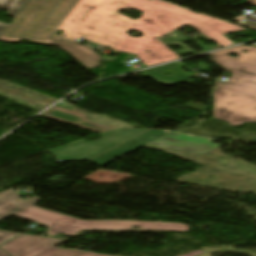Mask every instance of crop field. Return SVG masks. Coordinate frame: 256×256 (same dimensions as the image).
<instances>
[{"instance_id":"crop-field-12","label":"crop field","mask_w":256,"mask_h":256,"mask_svg":"<svg viewBox=\"0 0 256 256\" xmlns=\"http://www.w3.org/2000/svg\"><path fill=\"white\" fill-rule=\"evenodd\" d=\"M18 234L15 233H7V232H1L0 231V244L9 240L10 238L16 236Z\"/></svg>"},{"instance_id":"crop-field-11","label":"crop field","mask_w":256,"mask_h":256,"mask_svg":"<svg viewBox=\"0 0 256 256\" xmlns=\"http://www.w3.org/2000/svg\"><path fill=\"white\" fill-rule=\"evenodd\" d=\"M27 0H0V8L8 11L7 15L15 17ZM7 24L0 22V34L6 28Z\"/></svg>"},{"instance_id":"crop-field-13","label":"crop field","mask_w":256,"mask_h":256,"mask_svg":"<svg viewBox=\"0 0 256 256\" xmlns=\"http://www.w3.org/2000/svg\"><path fill=\"white\" fill-rule=\"evenodd\" d=\"M239 25L243 26V27H246V28H249V29L256 30V23L255 22L244 21V22H241Z\"/></svg>"},{"instance_id":"crop-field-3","label":"crop field","mask_w":256,"mask_h":256,"mask_svg":"<svg viewBox=\"0 0 256 256\" xmlns=\"http://www.w3.org/2000/svg\"><path fill=\"white\" fill-rule=\"evenodd\" d=\"M14 216L44 224L50 228L47 234L57 232L74 236L80 230H171L188 231V225L180 223L140 222V221H83L46 210L29 207ZM141 226V229H131Z\"/></svg>"},{"instance_id":"crop-field-10","label":"crop field","mask_w":256,"mask_h":256,"mask_svg":"<svg viewBox=\"0 0 256 256\" xmlns=\"http://www.w3.org/2000/svg\"><path fill=\"white\" fill-rule=\"evenodd\" d=\"M143 77L150 76L165 85L177 84L188 79L187 75L174 63L157 68L141 71Z\"/></svg>"},{"instance_id":"crop-field-2","label":"crop field","mask_w":256,"mask_h":256,"mask_svg":"<svg viewBox=\"0 0 256 256\" xmlns=\"http://www.w3.org/2000/svg\"><path fill=\"white\" fill-rule=\"evenodd\" d=\"M231 53L238 57L228 56ZM208 55L233 74L226 82L214 83L213 118L230 126L256 122V48L240 45Z\"/></svg>"},{"instance_id":"crop-field-17","label":"crop field","mask_w":256,"mask_h":256,"mask_svg":"<svg viewBox=\"0 0 256 256\" xmlns=\"http://www.w3.org/2000/svg\"><path fill=\"white\" fill-rule=\"evenodd\" d=\"M72 121H74V122H78V123H80V124H82V123H83V121H79V120H75V119H73Z\"/></svg>"},{"instance_id":"crop-field-14","label":"crop field","mask_w":256,"mask_h":256,"mask_svg":"<svg viewBox=\"0 0 256 256\" xmlns=\"http://www.w3.org/2000/svg\"><path fill=\"white\" fill-rule=\"evenodd\" d=\"M204 252L198 250V251H195V252H191V253H188V254H185V255H182V256H196V255H200V254H203Z\"/></svg>"},{"instance_id":"crop-field-7","label":"crop field","mask_w":256,"mask_h":256,"mask_svg":"<svg viewBox=\"0 0 256 256\" xmlns=\"http://www.w3.org/2000/svg\"><path fill=\"white\" fill-rule=\"evenodd\" d=\"M165 133L163 130H156V129H149L130 140L110 149L109 151L91 159L93 163L97 164L98 166H103L155 139L164 135ZM150 136H156L153 139H150Z\"/></svg>"},{"instance_id":"crop-field-1","label":"crop field","mask_w":256,"mask_h":256,"mask_svg":"<svg viewBox=\"0 0 256 256\" xmlns=\"http://www.w3.org/2000/svg\"><path fill=\"white\" fill-rule=\"evenodd\" d=\"M125 8L144 13L132 20L116 12ZM187 24L220 47L234 44L222 34L246 31L161 0H28L1 34L0 41L24 39L56 45L87 68L100 66L96 52L74 42L82 37L113 50L136 54L148 67L180 59L156 38ZM58 29L65 32L60 37L55 35ZM127 30L143 32V36L130 37Z\"/></svg>"},{"instance_id":"crop-field-6","label":"crop field","mask_w":256,"mask_h":256,"mask_svg":"<svg viewBox=\"0 0 256 256\" xmlns=\"http://www.w3.org/2000/svg\"><path fill=\"white\" fill-rule=\"evenodd\" d=\"M212 141V138L174 132L164 135L147 146L204 155L219 146V144L211 143Z\"/></svg>"},{"instance_id":"crop-field-9","label":"crop field","mask_w":256,"mask_h":256,"mask_svg":"<svg viewBox=\"0 0 256 256\" xmlns=\"http://www.w3.org/2000/svg\"><path fill=\"white\" fill-rule=\"evenodd\" d=\"M39 201H41L39 197L24 200L11 190L4 191L0 193V219L9 217Z\"/></svg>"},{"instance_id":"crop-field-8","label":"crop field","mask_w":256,"mask_h":256,"mask_svg":"<svg viewBox=\"0 0 256 256\" xmlns=\"http://www.w3.org/2000/svg\"><path fill=\"white\" fill-rule=\"evenodd\" d=\"M40 116H44V117H47V118H50V119H54V120H57V121H60V122H64V123H67V124H71V125H74V126H77V127H81V128L88 129V130L95 131V132H99V133H102L104 131L112 129V128H108V127H105V126H102V125L95 124V123L87 120L84 115H81V114H78V113H75V112H72V111H68V110H65V109H62V108H59V107H56V106L47 110L46 112H44ZM73 118L80 119V120H83L85 122L82 125H80L78 123L70 122Z\"/></svg>"},{"instance_id":"crop-field-16","label":"crop field","mask_w":256,"mask_h":256,"mask_svg":"<svg viewBox=\"0 0 256 256\" xmlns=\"http://www.w3.org/2000/svg\"><path fill=\"white\" fill-rule=\"evenodd\" d=\"M250 4L256 6V0H248Z\"/></svg>"},{"instance_id":"crop-field-4","label":"crop field","mask_w":256,"mask_h":256,"mask_svg":"<svg viewBox=\"0 0 256 256\" xmlns=\"http://www.w3.org/2000/svg\"><path fill=\"white\" fill-rule=\"evenodd\" d=\"M145 130L147 129H112L100 134V140L90 143L80 140L48 152L55 155L57 162L91 159Z\"/></svg>"},{"instance_id":"crop-field-5","label":"crop field","mask_w":256,"mask_h":256,"mask_svg":"<svg viewBox=\"0 0 256 256\" xmlns=\"http://www.w3.org/2000/svg\"><path fill=\"white\" fill-rule=\"evenodd\" d=\"M61 240L45 237L19 236L0 248L11 256H105L91 252L53 248Z\"/></svg>"},{"instance_id":"crop-field-15","label":"crop field","mask_w":256,"mask_h":256,"mask_svg":"<svg viewBox=\"0 0 256 256\" xmlns=\"http://www.w3.org/2000/svg\"><path fill=\"white\" fill-rule=\"evenodd\" d=\"M0 256H9V255L6 254L4 251L0 250Z\"/></svg>"}]
</instances>
